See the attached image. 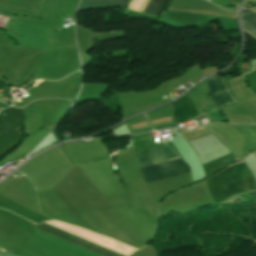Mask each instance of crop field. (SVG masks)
Returning <instances> with one entry per match:
<instances>
[{"label": "crop field", "instance_id": "8a807250", "mask_svg": "<svg viewBox=\"0 0 256 256\" xmlns=\"http://www.w3.org/2000/svg\"><path fill=\"white\" fill-rule=\"evenodd\" d=\"M174 158H178V156L167 145L136 153V159L140 169L167 162ZM140 171L147 184L168 176L190 172L189 166L181 159L141 169Z\"/></svg>", "mask_w": 256, "mask_h": 256}, {"label": "crop field", "instance_id": "ac0d7876", "mask_svg": "<svg viewBox=\"0 0 256 256\" xmlns=\"http://www.w3.org/2000/svg\"><path fill=\"white\" fill-rule=\"evenodd\" d=\"M40 226H42V227H44V228H47V229H49V230H52V231H54V232H56V233H59V234H61V235H63V236H66V237H68V238H71V239H73V240H75V241H78V242H80V243H82V244H85V245H87V246H89V247H92V248H94V249H97V250H99V251H101V252H104V253H106V254H108V255H111V256H121V255H118V254H116V253H113V252H111V251H109V250H106V249H104V248H102V247H99V246H97V245H94V244H92V243H90V242H87V241H85V240H83V239H80V238H78V237H76V236H73V235L68 234V233H66V232H64V231H61V230H59V229H57V228H54V227H52V226H49V225H47V224H45V223L40 224ZM40 226L37 227V230H38V231H42V232H44V233H47V234H49V235H51V236H54V237H56V238H59V239H61V240H63V241H66V242H68V243H71V244H73V245H75V246H78V247H80V248H83V249H85V250H87V251H90V252H92V253H95V254H97V255H99V256H108V255H106V254H104V253H101V252H99V251H97V250H94V249H92V248H89V247H87V246H85V245H82V244H80V243H78V242H75V241H73V240H71V239H68V238L63 237V236H61V235H59V234H56V233H54V232H52V231H49V230H47V229H44V228H42V227H40Z\"/></svg>", "mask_w": 256, "mask_h": 256}, {"label": "crop field", "instance_id": "34b2d1b8", "mask_svg": "<svg viewBox=\"0 0 256 256\" xmlns=\"http://www.w3.org/2000/svg\"><path fill=\"white\" fill-rule=\"evenodd\" d=\"M127 0H81L78 10L87 8L124 7Z\"/></svg>", "mask_w": 256, "mask_h": 256}, {"label": "crop field", "instance_id": "412701ff", "mask_svg": "<svg viewBox=\"0 0 256 256\" xmlns=\"http://www.w3.org/2000/svg\"><path fill=\"white\" fill-rule=\"evenodd\" d=\"M241 19H242L243 23L256 28V13H254L248 9H243L241 11ZM243 23H242V26H243L244 31H246L247 33L252 35L254 38H256V29H254L250 26H247Z\"/></svg>", "mask_w": 256, "mask_h": 256}, {"label": "crop field", "instance_id": "f4fd0767", "mask_svg": "<svg viewBox=\"0 0 256 256\" xmlns=\"http://www.w3.org/2000/svg\"><path fill=\"white\" fill-rule=\"evenodd\" d=\"M169 2L170 0H150L143 12L160 16Z\"/></svg>", "mask_w": 256, "mask_h": 256}, {"label": "crop field", "instance_id": "dd49c442", "mask_svg": "<svg viewBox=\"0 0 256 256\" xmlns=\"http://www.w3.org/2000/svg\"><path fill=\"white\" fill-rule=\"evenodd\" d=\"M206 82L209 85L211 99L215 102L216 106L219 107L226 105L227 102L225 101L224 97L220 93L212 78H209Z\"/></svg>", "mask_w": 256, "mask_h": 256}, {"label": "crop field", "instance_id": "e52e79f7", "mask_svg": "<svg viewBox=\"0 0 256 256\" xmlns=\"http://www.w3.org/2000/svg\"><path fill=\"white\" fill-rule=\"evenodd\" d=\"M1 250H3L2 248H1ZM0 250V256H17V255H13V254H11V253H9V252H3V251H5V250H3V251H1Z\"/></svg>", "mask_w": 256, "mask_h": 256}, {"label": "crop field", "instance_id": "d8731c3e", "mask_svg": "<svg viewBox=\"0 0 256 256\" xmlns=\"http://www.w3.org/2000/svg\"><path fill=\"white\" fill-rule=\"evenodd\" d=\"M4 83L0 81V86H2Z\"/></svg>", "mask_w": 256, "mask_h": 256}]
</instances>
